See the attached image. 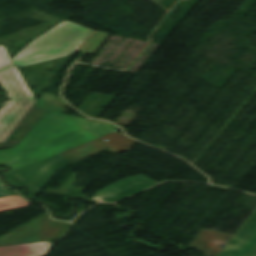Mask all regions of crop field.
Masks as SVG:
<instances>
[{"mask_svg":"<svg viewBox=\"0 0 256 256\" xmlns=\"http://www.w3.org/2000/svg\"><path fill=\"white\" fill-rule=\"evenodd\" d=\"M117 130L118 127L108 122L49 112L16 148L0 150V165L12 167L11 171L2 174L7 175Z\"/></svg>","mask_w":256,"mask_h":256,"instance_id":"1","label":"crop field"},{"mask_svg":"<svg viewBox=\"0 0 256 256\" xmlns=\"http://www.w3.org/2000/svg\"><path fill=\"white\" fill-rule=\"evenodd\" d=\"M90 31L85 27L64 21L32 41L12 61L15 65L26 66L68 56L81 46Z\"/></svg>","mask_w":256,"mask_h":256,"instance_id":"2","label":"crop field"},{"mask_svg":"<svg viewBox=\"0 0 256 256\" xmlns=\"http://www.w3.org/2000/svg\"><path fill=\"white\" fill-rule=\"evenodd\" d=\"M65 161L66 159L54 156L11 173L6 176V180L16 186H27L29 197L34 198Z\"/></svg>","mask_w":256,"mask_h":256,"instance_id":"3","label":"crop field"},{"mask_svg":"<svg viewBox=\"0 0 256 256\" xmlns=\"http://www.w3.org/2000/svg\"><path fill=\"white\" fill-rule=\"evenodd\" d=\"M6 99L10 100V102L3 103L0 109V143L4 142L35 103L32 100L18 98Z\"/></svg>","mask_w":256,"mask_h":256,"instance_id":"4","label":"crop field"},{"mask_svg":"<svg viewBox=\"0 0 256 256\" xmlns=\"http://www.w3.org/2000/svg\"><path fill=\"white\" fill-rule=\"evenodd\" d=\"M157 184L144 175L122 180L95 194L93 199L115 202L128 195Z\"/></svg>","mask_w":256,"mask_h":256,"instance_id":"5","label":"crop field"},{"mask_svg":"<svg viewBox=\"0 0 256 256\" xmlns=\"http://www.w3.org/2000/svg\"><path fill=\"white\" fill-rule=\"evenodd\" d=\"M232 237V234L201 229L190 245L184 250L187 251L190 248H195L204 256H217L223 249L220 246H226Z\"/></svg>","mask_w":256,"mask_h":256,"instance_id":"6","label":"crop field"},{"mask_svg":"<svg viewBox=\"0 0 256 256\" xmlns=\"http://www.w3.org/2000/svg\"><path fill=\"white\" fill-rule=\"evenodd\" d=\"M0 83L3 89L8 92L6 97H19L35 100L15 66L0 71Z\"/></svg>","mask_w":256,"mask_h":256,"instance_id":"7","label":"crop field"},{"mask_svg":"<svg viewBox=\"0 0 256 256\" xmlns=\"http://www.w3.org/2000/svg\"><path fill=\"white\" fill-rule=\"evenodd\" d=\"M40 103H42L40 105ZM49 103L48 108H51L54 111L61 112L67 107V103L57 97L44 93L34 104L35 107H43L42 110L37 108H31L30 112L22 119L21 123L29 124L36 126L41 118L48 113V111L43 110L46 105ZM40 105V106H39Z\"/></svg>","mask_w":256,"mask_h":256,"instance_id":"8","label":"crop field"},{"mask_svg":"<svg viewBox=\"0 0 256 256\" xmlns=\"http://www.w3.org/2000/svg\"><path fill=\"white\" fill-rule=\"evenodd\" d=\"M51 245L49 242H43L0 247V256H45Z\"/></svg>","mask_w":256,"mask_h":256,"instance_id":"9","label":"crop field"},{"mask_svg":"<svg viewBox=\"0 0 256 256\" xmlns=\"http://www.w3.org/2000/svg\"><path fill=\"white\" fill-rule=\"evenodd\" d=\"M255 230H256V212L251 216V218L245 223V225L232 238V240L220 252L218 256H234Z\"/></svg>","mask_w":256,"mask_h":256,"instance_id":"10","label":"crop field"},{"mask_svg":"<svg viewBox=\"0 0 256 256\" xmlns=\"http://www.w3.org/2000/svg\"><path fill=\"white\" fill-rule=\"evenodd\" d=\"M107 36V33L92 30L77 51L94 55Z\"/></svg>","mask_w":256,"mask_h":256,"instance_id":"11","label":"crop field"},{"mask_svg":"<svg viewBox=\"0 0 256 256\" xmlns=\"http://www.w3.org/2000/svg\"><path fill=\"white\" fill-rule=\"evenodd\" d=\"M29 204L30 203H28L18 195L7 196V197L0 198V211L22 207Z\"/></svg>","mask_w":256,"mask_h":256,"instance_id":"12","label":"crop field"},{"mask_svg":"<svg viewBox=\"0 0 256 256\" xmlns=\"http://www.w3.org/2000/svg\"><path fill=\"white\" fill-rule=\"evenodd\" d=\"M235 256H256V231Z\"/></svg>","mask_w":256,"mask_h":256,"instance_id":"13","label":"crop field"},{"mask_svg":"<svg viewBox=\"0 0 256 256\" xmlns=\"http://www.w3.org/2000/svg\"><path fill=\"white\" fill-rule=\"evenodd\" d=\"M12 65L8 60L3 47H0V69Z\"/></svg>","mask_w":256,"mask_h":256,"instance_id":"14","label":"crop field"},{"mask_svg":"<svg viewBox=\"0 0 256 256\" xmlns=\"http://www.w3.org/2000/svg\"><path fill=\"white\" fill-rule=\"evenodd\" d=\"M0 192H1L0 197L7 196V195H12L1 184H0Z\"/></svg>","mask_w":256,"mask_h":256,"instance_id":"15","label":"crop field"}]
</instances>
